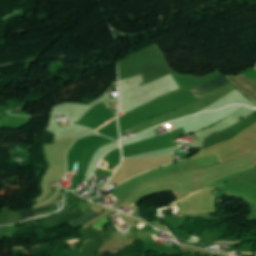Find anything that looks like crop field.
<instances>
[{"label": "crop field", "instance_id": "f4fd0767", "mask_svg": "<svg viewBox=\"0 0 256 256\" xmlns=\"http://www.w3.org/2000/svg\"><path fill=\"white\" fill-rule=\"evenodd\" d=\"M97 213L93 212V211H89L87 214H85L84 216L76 219V220H73L71 221V223L76 227H80L81 225H84L85 223H87L89 220H91L92 218L96 217Z\"/></svg>", "mask_w": 256, "mask_h": 256}, {"label": "crop field", "instance_id": "8a807250", "mask_svg": "<svg viewBox=\"0 0 256 256\" xmlns=\"http://www.w3.org/2000/svg\"><path fill=\"white\" fill-rule=\"evenodd\" d=\"M254 103H256V82L240 74L236 77H226Z\"/></svg>", "mask_w": 256, "mask_h": 256}, {"label": "crop field", "instance_id": "dd49c442", "mask_svg": "<svg viewBox=\"0 0 256 256\" xmlns=\"http://www.w3.org/2000/svg\"><path fill=\"white\" fill-rule=\"evenodd\" d=\"M71 208H73V207L69 205V206H67L66 208L62 209L60 212L55 213L54 215L51 214V215H49V216H46V217L37 219V222L43 221V220H46V219H50V218H52V217L58 216V215H60V214H63L64 212L68 211V210L71 209Z\"/></svg>", "mask_w": 256, "mask_h": 256}, {"label": "crop field", "instance_id": "e52e79f7", "mask_svg": "<svg viewBox=\"0 0 256 256\" xmlns=\"http://www.w3.org/2000/svg\"><path fill=\"white\" fill-rule=\"evenodd\" d=\"M35 220H36V219L29 220V221H26V222H24V223H21L20 225L26 224V223H28V222H33V221H35Z\"/></svg>", "mask_w": 256, "mask_h": 256}, {"label": "crop field", "instance_id": "34b2d1b8", "mask_svg": "<svg viewBox=\"0 0 256 256\" xmlns=\"http://www.w3.org/2000/svg\"><path fill=\"white\" fill-rule=\"evenodd\" d=\"M82 214H84V213L75 207L72 210L66 212L65 214H63L57 218H53V219H50L47 221L40 222L39 225L42 229L55 227L59 224H62V223L67 222L73 218H76Z\"/></svg>", "mask_w": 256, "mask_h": 256}, {"label": "crop field", "instance_id": "ac0d7876", "mask_svg": "<svg viewBox=\"0 0 256 256\" xmlns=\"http://www.w3.org/2000/svg\"><path fill=\"white\" fill-rule=\"evenodd\" d=\"M229 83V81L223 76H219L193 90L190 92L196 95L197 97L201 98L206 96L207 94L217 90L218 88L222 87L223 85Z\"/></svg>", "mask_w": 256, "mask_h": 256}, {"label": "crop field", "instance_id": "412701ff", "mask_svg": "<svg viewBox=\"0 0 256 256\" xmlns=\"http://www.w3.org/2000/svg\"><path fill=\"white\" fill-rule=\"evenodd\" d=\"M61 201H62V197H61L57 202H55V203H53V204H51V205H48V206H46V207H44V208L36 209V210H33V211H34V213H38V212L45 211V210H47V209H50V208H52V207H54V206L60 204ZM34 213L32 212V210L21 211V217H22V218H21V221L26 220V219H28V218H33V217H35ZM21 221H20V222H21Z\"/></svg>", "mask_w": 256, "mask_h": 256}, {"label": "crop field", "instance_id": "d8731c3e", "mask_svg": "<svg viewBox=\"0 0 256 256\" xmlns=\"http://www.w3.org/2000/svg\"><path fill=\"white\" fill-rule=\"evenodd\" d=\"M242 253H247V252H242ZM249 254H253V253H249Z\"/></svg>", "mask_w": 256, "mask_h": 256}]
</instances>
